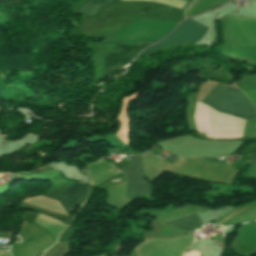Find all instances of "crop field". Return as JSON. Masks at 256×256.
Returning a JSON list of instances; mask_svg holds the SVG:
<instances>
[{
  "label": "crop field",
  "instance_id": "8a807250",
  "mask_svg": "<svg viewBox=\"0 0 256 256\" xmlns=\"http://www.w3.org/2000/svg\"><path fill=\"white\" fill-rule=\"evenodd\" d=\"M194 121L198 132H206L207 138L216 139V111L197 102ZM245 120L217 112V139L242 137Z\"/></svg>",
  "mask_w": 256,
  "mask_h": 256
},
{
  "label": "crop field",
  "instance_id": "ac0d7876",
  "mask_svg": "<svg viewBox=\"0 0 256 256\" xmlns=\"http://www.w3.org/2000/svg\"><path fill=\"white\" fill-rule=\"evenodd\" d=\"M203 103L221 112L246 119L256 116V110L245 94L239 90L220 85L212 91Z\"/></svg>",
  "mask_w": 256,
  "mask_h": 256
},
{
  "label": "crop field",
  "instance_id": "34b2d1b8",
  "mask_svg": "<svg viewBox=\"0 0 256 256\" xmlns=\"http://www.w3.org/2000/svg\"><path fill=\"white\" fill-rule=\"evenodd\" d=\"M119 170L129 178L127 197L133 198L152 191L150 184L143 177L140 155L133 156L132 162Z\"/></svg>",
  "mask_w": 256,
  "mask_h": 256
},
{
  "label": "crop field",
  "instance_id": "412701ff",
  "mask_svg": "<svg viewBox=\"0 0 256 256\" xmlns=\"http://www.w3.org/2000/svg\"><path fill=\"white\" fill-rule=\"evenodd\" d=\"M149 44L151 43L136 44L130 47L117 45L112 52L105 57L104 77L117 68L127 64L137 52Z\"/></svg>",
  "mask_w": 256,
  "mask_h": 256
},
{
  "label": "crop field",
  "instance_id": "f4fd0767",
  "mask_svg": "<svg viewBox=\"0 0 256 256\" xmlns=\"http://www.w3.org/2000/svg\"><path fill=\"white\" fill-rule=\"evenodd\" d=\"M194 23L190 20L184 22L183 25L170 38L148 50H154L175 43L197 41L201 37L205 29Z\"/></svg>",
  "mask_w": 256,
  "mask_h": 256
},
{
  "label": "crop field",
  "instance_id": "dd49c442",
  "mask_svg": "<svg viewBox=\"0 0 256 256\" xmlns=\"http://www.w3.org/2000/svg\"><path fill=\"white\" fill-rule=\"evenodd\" d=\"M86 188L87 186L73 183L72 186L59 199L68 212L72 206L82 197Z\"/></svg>",
  "mask_w": 256,
  "mask_h": 256
},
{
  "label": "crop field",
  "instance_id": "e52e79f7",
  "mask_svg": "<svg viewBox=\"0 0 256 256\" xmlns=\"http://www.w3.org/2000/svg\"><path fill=\"white\" fill-rule=\"evenodd\" d=\"M165 223L184 231L196 229L202 224L196 213Z\"/></svg>",
  "mask_w": 256,
  "mask_h": 256
},
{
  "label": "crop field",
  "instance_id": "d8731c3e",
  "mask_svg": "<svg viewBox=\"0 0 256 256\" xmlns=\"http://www.w3.org/2000/svg\"><path fill=\"white\" fill-rule=\"evenodd\" d=\"M113 0H90L86 2L79 11L92 15L100 6H103Z\"/></svg>",
  "mask_w": 256,
  "mask_h": 256
},
{
  "label": "crop field",
  "instance_id": "5a996713",
  "mask_svg": "<svg viewBox=\"0 0 256 256\" xmlns=\"http://www.w3.org/2000/svg\"><path fill=\"white\" fill-rule=\"evenodd\" d=\"M66 251V242L56 243L43 256H63Z\"/></svg>",
  "mask_w": 256,
  "mask_h": 256
},
{
  "label": "crop field",
  "instance_id": "3316defc",
  "mask_svg": "<svg viewBox=\"0 0 256 256\" xmlns=\"http://www.w3.org/2000/svg\"><path fill=\"white\" fill-rule=\"evenodd\" d=\"M121 1H151V2H159V3H164L168 5H172L178 8L183 9V7L186 4V1L183 0H121Z\"/></svg>",
  "mask_w": 256,
  "mask_h": 256
},
{
  "label": "crop field",
  "instance_id": "28ad6ade",
  "mask_svg": "<svg viewBox=\"0 0 256 256\" xmlns=\"http://www.w3.org/2000/svg\"><path fill=\"white\" fill-rule=\"evenodd\" d=\"M248 177L256 178V159H253V163L249 172L246 174Z\"/></svg>",
  "mask_w": 256,
  "mask_h": 256
},
{
  "label": "crop field",
  "instance_id": "d1516ede",
  "mask_svg": "<svg viewBox=\"0 0 256 256\" xmlns=\"http://www.w3.org/2000/svg\"><path fill=\"white\" fill-rule=\"evenodd\" d=\"M119 174V173H118ZM116 175V174H115Z\"/></svg>",
  "mask_w": 256,
  "mask_h": 256
}]
</instances>
